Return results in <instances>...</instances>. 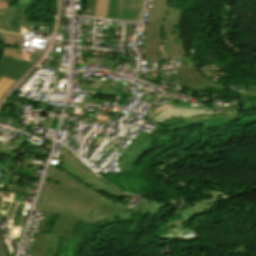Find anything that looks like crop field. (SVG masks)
<instances>
[{
    "label": "crop field",
    "instance_id": "5142ce71",
    "mask_svg": "<svg viewBox=\"0 0 256 256\" xmlns=\"http://www.w3.org/2000/svg\"><path fill=\"white\" fill-rule=\"evenodd\" d=\"M29 6L19 7V6H10L8 9H1L0 16L5 14H25ZM0 30L8 31L0 19Z\"/></svg>",
    "mask_w": 256,
    "mask_h": 256
},
{
    "label": "crop field",
    "instance_id": "f4fd0767",
    "mask_svg": "<svg viewBox=\"0 0 256 256\" xmlns=\"http://www.w3.org/2000/svg\"><path fill=\"white\" fill-rule=\"evenodd\" d=\"M161 130L163 129L157 126L149 135L139 133L127 151L123 154L120 161V171L133 170L135 163L142 157V153L156 148L151 144L156 140L155 137Z\"/></svg>",
    "mask_w": 256,
    "mask_h": 256
},
{
    "label": "crop field",
    "instance_id": "412701ff",
    "mask_svg": "<svg viewBox=\"0 0 256 256\" xmlns=\"http://www.w3.org/2000/svg\"><path fill=\"white\" fill-rule=\"evenodd\" d=\"M86 222L102 229L113 223L133 222V219L124 204L102 196Z\"/></svg>",
    "mask_w": 256,
    "mask_h": 256
},
{
    "label": "crop field",
    "instance_id": "eef30255",
    "mask_svg": "<svg viewBox=\"0 0 256 256\" xmlns=\"http://www.w3.org/2000/svg\"><path fill=\"white\" fill-rule=\"evenodd\" d=\"M0 39H1L2 41H4V39L1 37V35H0Z\"/></svg>",
    "mask_w": 256,
    "mask_h": 256
},
{
    "label": "crop field",
    "instance_id": "92a150f3",
    "mask_svg": "<svg viewBox=\"0 0 256 256\" xmlns=\"http://www.w3.org/2000/svg\"><path fill=\"white\" fill-rule=\"evenodd\" d=\"M30 4H32V0H19V3H18L19 6H25Z\"/></svg>",
    "mask_w": 256,
    "mask_h": 256
},
{
    "label": "crop field",
    "instance_id": "4177f3b9",
    "mask_svg": "<svg viewBox=\"0 0 256 256\" xmlns=\"http://www.w3.org/2000/svg\"><path fill=\"white\" fill-rule=\"evenodd\" d=\"M40 65H44V66L51 67V68H53V67H54V65L44 64V63H41Z\"/></svg>",
    "mask_w": 256,
    "mask_h": 256
},
{
    "label": "crop field",
    "instance_id": "214f88e0",
    "mask_svg": "<svg viewBox=\"0 0 256 256\" xmlns=\"http://www.w3.org/2000/svg\"><path fill=\"white\" fill-rule=\"evenodd\" d=\"M221 117L227 119L228 121H232V116H235L234 114H228V113H218Z\"/></svg>",
    "mask_w": 256,
    "mask_h": 256
},
{
    "label": "crop field",
    "instance_id": "733c2abd",
    "mask_svg": "<svg viewBox=\"0 0 256 256\" xmlns=\"http://www.w3.org/2000/svg\"><path fill=\"white\" fill-rule=\"evenodd\" d=\"M104 7H105V0H97L95 16L103 18Z\"/></svg>",
    "mask_w": 256,
    "mask_h": 256
},
{
    "label": "crop field",
    "instance_id": "28ad6ade",
    "mask_svg": "<svg viewBox=\"0 0 256 256\" xmlns=\"http://www.w3.org/2000/svg\"><path fill=\"white\" fill-rule=\"evenodd\" d=\"M170 204L172 203L170 202L165 203V202L143 199L141 203H138L134 208H132V211L134 213L155 217L157 216V214L160 212L162 208Z\"/></svg>",
    "mask_w": 256,
    "mask_h": 256
},
{
    "label": "crop field",
    "instance_id": "e52e79f7",
    "mask_svg": "<svg viewBox=\"0 0 256 256\" xmlns=\"http://www.w3.org/2000/svg\"><path fill=\"white\" fill-rule=\"evenodd\" d=\"M181 87L204 91L206 87L224 90L225 85L206 79L196 66L176 68Z\"/></svg>",
    "mask_w": 256,
    "mask_h": 256
},
{
    "label": "crop field",
    "instance_id": "34b2d1b8",
    "mask_svg": "<svg viewBox=\"0 0 256 256\" xmlns=\"http://www.w3.org/2000/svg\"><path fill=\"white\" fill-rule=\"evenodd\" d=\"M54 160L62 161V170L71 174L74 178L88 185L89 187L112 197L121 198L127 195L118 192L113 186L106 183L103 179L89 171L82 165L77 158H75L69 150L64 147L63 159L52 158Z\"/></svg>",
    "mask_w": 256,
    "mask_h": 256
},
{
    "label": "crop field",
    "instance_id": "bc2a9ffb",
    "mask_svg": "<svg viewBox=\"0 0 256 256\" xmlns=\"http://www.w3.org/2000/svg\"><path fill=\"white\" fill-rule=\"evenodd\" d=\"M217 116L216 114H212V115H206V116H200V117H194V118H187V119H183L185 122L187 121H193V120H199V119H205L208 117H215Z\"/></svg>",
    "mask_w": 256,
    "mask_h": 256
},
{
    "label": "crop field",
    "instance_id": "cbeb9de0",
    "mask_svg": "<svg viewBox=\"0 0 256 256\" xmlns=\"http://www.w3.org/2000/svg\"><path fill=\"white\" fill-rule=\"evenodd\" d=\"M227 124H229V123L220 119L219 117H215V118H211V119H205V120H199V121H194V122L183 123L180 125H175L173 127L168 128V131L173 134V132L175 130L182 129L184 127H189V126L202 125L204 128L208 129L211 127H217V126H222V125H227Z\"/></svg>",
    "mask_w": 256,
    "mask_h": 256
},
{
    "label": "crop field",
    "instance_id": "dafd665d",
    "mask_svg": "<svg viewBox=\"0 0 256 256\" xmlns=\"http://www.w3.org/2000/svg\"><path fill=\"white\" fill-rule=\"evenodd\" d=\"M10 6V3H0V9L1 8H8Z\"/></svg>",
    "mask_w": 256,
    "mask_h": 256
},
{
    "label": "crop field",
    "instance_id": "d8731c3e",
    "mask_svg": "<svg viewBox=\"0 0 256 256\" xmlns=\"http://www.w3.org/2000/svg\"><path fill=\"white\" fill-rule=\"evenodd\" d=\"M44 179L54 181V182L62 184V185H66V186L75 188L77 190H80L82 192H85V193H88V194H91V195L101 198V195L99 192L89 188L88 186H86L83 183L79 182L78 180L74 179L68 173L63 172L54 167L48 166V169H47Z\"/></svg>",
    "mask_w": 256,
    "mask_h": 256
},
{
    "label": "crop field",
    "instance_id": "ac0d7876",
    "mask_svg": "<svg viewBox=\"0 0 256 256\" xmlns=\"http://www.w3.org/2000/svg\"><path fill=\"white\" fill-rule=\"evenodd\" d=\"M98 201L97 197L55 183L53 188L44 186L43 200L34 210L62 214L85 222Z\"/></svg>",
    "mask_w": 256,
    "mask_h": 256
},
{
    "label": "crop field",
    "instance_id": "8a807250",
    "mask_svg": "<svg viewBox=\"0 0 256 256\" xmlns=\"http://www.w3.org/2000/svg\"><path fill=\"white\" fill-rule=\"evenodd\" d=\"M169 0H155L146 23L147 60L159 59L158 45L164 42L170 57L186 56L181 39V10L168 7Z\"/></svg>",
    "mask_w": 256,
    "mask_h": 256
},
{
    "label": "crop field",
    "instance_id": "d1516ede",
    "mask_svg": "<svg viewBox=\"0 0 256 256\" xmlns=\"http://www.w3.org/2000/svg\"><path fill=\"white\" fill-rule=\"evenodd\" d=\"M207 207L213 208V201L194 203V206L180 210L177 212V214L180 215L185 226H188V221L191 220L193 217L199 214L207 213L206 211H204Z\"/></svg>",
    "mask_w": 256,
    "mask_h": 256
},
{
    "label": "crop field",
    "instance_id": "a9b5d70f",
    "mask_svg": "<svg viewBox=\"0 0 256 256\" xmlns=\"http://www.w3.org/2000/svg\"><path fill=\"white\" fill-rule=\"evenodd\" d=\"M49 55L54 56V58H56V59H59V58H61V56H62V55H54V54H51V52H49Z\"/></svg>",
    "mask_w": 256,
    "mask_h": 256
},
{
    "label": "crop field",
    "instance_id": "5a996713",
    "mask_svg": "<svg viewBox=\"0 0 256 256\" xmlns=\"http://www.w3.org/2000/svg\"><path fill=\"white\" fill-rule=\"evenodd\" d=\"M32 64L3 56L0 60V77L17 80Z\"/></svg>",
    "mask_w": 256,
    "mask_h": 256
},
{
    "label": "crop field",
    "instance_id": "730fd06b",
    "mask_svg": "<svg viewBox=\"0 0 256 256\" xmlns=\"http://www.w3.org/2000/svg\"><path fill=\"white\" fill-rule=\"evenodd\" d=\"M0 2H10V0H0Z\"/></svg>",
    "mask_w": 256,
    "mask_h": 256
},
{
    "label": "crop field",
    "instance_id": "4a817a6b",
    "mask_svg": "<svg viewBox=\"0 0 256 256\" xmlns=\"http://www.w3.org/2000/svg\"><path fill=\"white\" fill-rule=\"evenodd\" d=\"M95 6H96V0H88L87 7L92 8L90 16H94Z\"/></svg>",
    "mask_w": 256,
    "mask_h": 256
},
{
    "label": "crop field",
    "instance_id": "3316defc",
    "mask_svg": "<svg viewBox=\"0 0 256 256\" xmlns=\"http://www.w3.org/2000/svg\"><path fill=\"white\" fill-rule=\"evenodd\" d=\"M78 223L79 221L75 219L60 215L52 229L51 236L71 238L72 233L77 227Z\"/></svg>",
    "mask_w": 256,
    "mask_h": 256
},
{
    "label": "crop field",
    "instance_id": "00972430",
    "mask_svg": "<svg viewBox=\"0 0 256 256\" xmlns=\"http://www.w3.org/2000/svg\"><path fill=\"white\" fill-rule=\"evenodd\" d=\"M42 188H43V186L41 187V190H40L39 197H38V200H37L36 205H37V204L41 201V199H42Z\"/></svg>",
    "mask_w": 256,
    "mask_h": 256
},
{
    "label": "crop field",
    "instance_id": "d9b57169",
    "mask_svg": "<svg viewBox=\"0 0 256 256\" xmlns=\"http://www.w3.org/2000/svg\"><path fill=\"white\" fill-rule=\"evenodd\" d=\"M14 80L1 77L0 78V97L14 83Z\"/></svg>",
    "mask_w": 256,
    "mask_h": 256
},
{
    "label": "crop field",
    "instance_id": "dd49c442",
    "mask_svg": "<svg viewBox=\"0 0 256 256\" xmlns=\"http://www.w3.org/2000/svg\"><path fill=\"white\" fill-rule=\"evenodd\" d=\"M145 0H106L104 18L140 21Z\"/></svg>",
    "mask_w": 256,
    "mask_h": 256
},
{
    "label": "crop field",
    "instance_id": "22f410ed",
    "mask_svg": "<svg viewBox=\"0 0 256 256\" xmlns=\"http://www.w3.org/2000/svg\"><path fill=\"white\" fill-rule=\"evenodd\" d=\"M52 214L45 213L43 216V219L36 231L35 235V241H34V251H33V256H43L44 255V249H45V243H46V238L47 236H43L44 228L50 219Z\"/></svg>",
    "mask_w": 256,
    "mask_h": 256
}]
</instances>
